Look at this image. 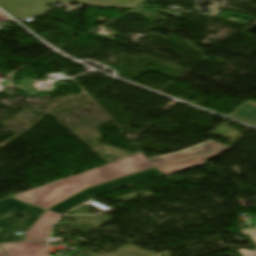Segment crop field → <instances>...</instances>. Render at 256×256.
<instances>
[{
	"label": "crop field",
	"instance_id": "6",
	"mask_svg": "<svg viewBox=\"0 0 256 256\" xmlns=\"http://www.w3.org/2000/svg\"><path fill=\"white\" fill-rule=\"evenodd\" d=\"M8 256H47V240L3 244Z\"/></svg>",
	"mask_w": 256,
	"mask_h": 256
},
{
	"label": "crop field",
	"instance_id": "4",
	"mask_svg": "<svg viewBox=\"0 0 256 256\" xmlns=\"http://www.w3.org/2000/svg\"><path fill=\"white\" fill-rule=\"evenodd\" d=\"M159 175H162V174L156 168H154V169L136 173V174H133L130 176H126L123 178L105 182V183L96 185L94 187L88 188V189L56 204L49 210L56 212L63 207L71 209V208L91 199L92 197H94L98 194L108 192V191H111L114 189H118L121 187H125V186H128L135 182L151 179V178L157 177Z\"/></svg>",
	"mask_w": 256,
	"mask_h": 256
},
{
	"label": "crop field",
	"instance_id": "2",
	"mask_svg": "<svg viewBox=\"0 0 256 256\" xmlns=\"http://www.w3.org/2000/svg\"><path fill=\"white\" fill-rule=\"evenodd\" d=\"M44 211L11 197L0 200V243L22 241L15 232L31 228ZM18 214L25 217L15 218Z\"/></svg>",
	"mask_w": 256,
	"mask_h": 256
},
{
	"label": "crop field",
	"instance_id": "11",
	"mask_svg": "<svg viewBox=\"0 0 256 256\" xmlns=\"http://www.w3.org/2000/svg\"><path fill=\"white\" fill-rule=\"evenodd\" d=\"M0 20H9L5 15L0 12ZM10 21V20H9Z\"/></svg>",
	"mask_w": 256,
	"mask_h": 256
},
{
	"label": "crop field",
	"instance_id": "1",
	"mask_svg": "<svg viewBox=\"0 0 256 256\" xmlns=\"http://www.w3.org/2000/svg\"><path fill=\"white\" fill-rule=\"evenodd\" d=\"M154 167L141 153L47 184L36 190L17 195L15 198L48 209L88 187Z\"/></svg>",
	"mask_w": 256,
	"mask_h": 256
},
{
	"label": "crop field",
	"instance_id": "12",
	"mask_svg": "<svg viewBox=\"0 0 256 256\" xmlns=\"http://www.w3.org/2000/svg\"><path fill=\"white\" fill-rule=\"evenodd\" d=\"M0 256H5V254L3 253V251L0 248Z\"/></svg>",
	"mask_w": 256,
	"mask_h": 256
},
{
	"label": "crop field",
	"instance_id": "7",
	"mask_svg": "<svg viewBox=\"0 0 256 256\" xmlns=\"http://www.w3.org/2000/svg\"><path fill=\"white\" fill-rule=\"evenodd\" d=\"M229 149H231V148L228 146H225V147L218 149L214 152H211L205 156H201L198 158H194V159H190V160H186V161H182V162H178V163H174V164H170V165H166V166H160V167H156V168L166 176L169 174H173V173H176L179 171L186 170L193 166H201V165L205 164L206 160H208L218 154H221Z\"/></svg>",
	"mask_w": 256,
	"mask_h": 256
},
{
	"label": "crop field",
	"instance_id": "10",
	"mask_svg": "<svg viewBox=\"0 0 256 256\" xmlns=\"http://www.w3.org/2000/svg\"><path fill=\"white\" fill-rule=\"evenodd\" d=\"M242 232L243 234L250 235L253 241L256 243V230H242ZM239 252L243 256H256V249L254 250V252L244 250V249L239 250Z\"/></svg>",
	"mask_w": 256,
	"mask_h": 256
},
{
	"label": "crop field",
	"instance_id": "13",
	"mask_svg": "<svg viewBox=\"0 0 256 256\" xmlns=\"http://www.w3.org/2000/svg\"><path fill=\"white\" fill-rule=\"evenodd\" d=\"M144 1H146V0H142V2H144Z\"/></svg>",
	"mask_w": 256,
	"mask_h": 256
},
{
	"label": "crop field",
	"instance_id": "8",
	"mask_svg": "<svg viewBox=\"0 0 256 256\" xmlns=\"http://www.w3.org/2000/svg\"><path fill=\"white\" fill-rule=\"evenodd\" d=\"M59 214L45 211L34 226L27 231L25 240L48 238V231Z\"/></svg>",
	"mask_w": 256,
	"mask_h": 256
},
{
	"label": "crop field",
	"instance_id": "5",
	"mask_svg": "<svg viewBox=\"0 0 256 256\" xmlns=\"http://www.w3.org/2000/svg\"><path fill=\"white\" fill-rule=\"evenodd\" d=\"M223 144H220L218 142L212 141V140H207L199 145L190 147L185 150L178 151L173 154H168L164 156H158L154 158H149V160L155 165H161L165 163H170V162H176L200 155H204L220 146Z\"/></svg>",
	"mask_w": 256,
	"mask_h": 256
},
{
	"label": "crop field",
	"instance_id": "9",
	"mask_svg": "<svg viewBox=\"0 0 256 256\" xmlns=\"http://www.w3.org/2000/svg\"><path fill=\"white\" fill-rule=\"evenodd\" d=\"M228 117L256 126V103L246 100L233 110Z\"/></svg>",
	"mask_w": 256,
	"mask_h": 256
},
{
	"label": "crop field",
	"instance_id": "3",
	"mask_svg": "<svg viewBox=\"0 0 256 256\" xmlns=\"http://www.w3.org/2000/svg\"><path fill=\"white\" fill-rule=\"evenodd\" d=\"M63 1L85 3L99 7H124L131 8L138 6L140 0H0V7L17 20L30 15L49 10L48 4Z\"/></svg>",
	"mask_w": 256,
	"mask_h": 256
},
{
	"label": "crop field",
	"instance_id": "14",
	"mask_svg": "<svg viewBox=\"0 0 256 256\" xmlns=\"http://www.w3.org/2000/svg\"><path fill=\"white\" fill-rule=\"evenodd\" d=\"M256 228V227H255Z\"/></svg>",
	"mask_w": 256,
	"mask_h": 256
}]
</instances>
